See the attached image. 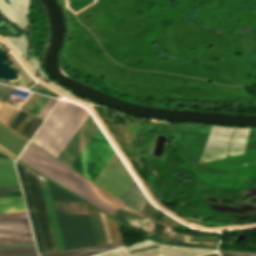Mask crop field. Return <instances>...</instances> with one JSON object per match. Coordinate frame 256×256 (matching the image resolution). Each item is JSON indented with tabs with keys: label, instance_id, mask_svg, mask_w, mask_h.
I'll return each instance as SVG.
<instances>
[{
	"label": "crop field",
	"instance_id": "28",
	"mask_svg": "<svg viewBox=\"0 0 256 256\" xmlns=\"http://www.w3.org/2000/svg\"><path fill=\"white\" fill-rule=\"evenodd\" d=\"M23 256H37L36 254H31V255H23Z\"/></svg>",
	"mask_w": 256,
	"mask_h": 256
},
{
	"label": "crop field",
	"instance_id": "7",
	"mask_svg": "<svg viewBox=\"0 0 256 256\" xmlns=\"http://www.w3.org/2000/svg\"><path fill=\"white\" fill-rule=\"evenodd\" d=\"M25 172H26L28 183H29L31 195L33 198L34 206L36 209L38 221L40 224L42 236L44 239L46 251L47 252L55 251L57 249H56L55 241H54L53 234L51 231L48 216L46 213V209H45V205L43 202L40 187L38 184L37 176H36V174L32 173L31 171H29L26 168H25Z\"/></svg>",
	"mask_w": 256,
	"mask_h": 256
},
{
	"label": "crop field",
	"instance_id": "24",
	"mask_svg": "<svg viewBox=\"0 0 256 256\" xmlns=\"http://www.w3.org/2000/svg\"><path fill=\"white\" fill-rule=\"evenodd\" d=\"M219 253L221 256H235V255L245 254L243 252H233V251H223V250H219ZM240 256H256V253H250V254H245Z\"/></svg>",
	"mask_w": 256,
	"mask_h": 256
},
{
	"label": "crop field",
	"instance_id": "17",
	"mask_svg": "<svg viewBox=\"0 0 256 256\" xmlns=\"http://www.w3.org/2000/svg\"><path fill=\"white\" fill-rule=\"evenodd\" d=\"M43 120L32 116L27 125L24 127L20 134L24 135L28 139H31L35 131L38 129Z\"/></svg>",
	"mask_w": 256,
	"mask_h": 256
},
{
	"label": "crop field",
	"instance_id": "12",
	"mask_svg": "<svg viewBox=\"0 0 256 256\" xmlns=\"http://www.w3.org/2000/svg\"><path fill=\"white\" fill-rule=\"evenodd\" d=\"M118 198L139 211L148 201L134 180Z\"/></svg>",
	"mask_w": 256,
	"mask_h": 256
},
{
	"label": "crop field",
	"instance_id": "16",
	"mask_svg": "<svg viewBox=\"0 0 256 256\" xmlns=\"http://www.w3.org/2000/svg\"><path fill=\"white\" fill-rule=\"evenodd\" d=\"M90 221H91V224H92L96 244L97 245L106 244L107 242H106V239H105V235H104V231H103L100 216L90 217Z\"/></svg>",
	"mask_w": 256,
	"mask_h": 256
},
{
	"label": "crop field",
	"instance_id": "15",
	"mask_svg": "<svg viewBox=\"0 0 256 256\" xmlns=\"http://www.w3.org/2000/svg\"><path fill=\"white\" fill-rule=\"evenodd\" d=\"M26 210L23 197L0 198V213L17 212Z\"/></svg>",
	"mask_w": 256,
	"mask_h": 256
},
{
	"label": "crop field",
	"instance_id": "2",
	"mask_svg": "<svg viewBox=\"0 0 256 256\" xmlns=\"http://www.w3.org/2000/svg\"><path fill=\"white\" fill-rule=\"evenodd\" d=\"M65 249L94 246L85 203L49 182Z\"/></svg>",
	"mask_w": 256,
	"mask_h": 256
},
{
	"label": "crop field",
	"instance_id": "27",
	"mask_svg": "<svg viewBox=\"0 0 256 256\" xmlns=\"http://www.w3.org/2000/svg\"><path fill=\"white\" fill-rule=\"evenodd\" d=\"M205 256H218V254H210V255H205Z\"/></svg>",
	"mask_w": 256,
	"mask_h": 256
},
{
	"label": "crop field",
	"instance_id": "3",
	"mask_svg": "<svg viewBox=\"0 0 256 256\" xmlns=\"http://www.w3.org/2000/svg\"><path fill=\"white\" fill-rule=\"evenodd\" d=\"M88 114L85 109L60 100L32 142L56 157Z\"/></svg>",
	"mask_w": 256,
	"mask_h": 256
},
{
	"label": "crop field",
	"instance_id": "18",
	"mask_svg": "<svg viewBox=\"0 0 256 256\" xmlns=\"http://www.w3.org/2000/svg\"><path fill=\"white\" fill-rule=\"evenodd\" d=\"M15 110H16V108L4 104V106L0 110V121L6 124V122L9 120V118L15 112ZM19 111L20 110L17 109V111L14 113V115L8 121V123H7L8 126L12 122V120L15 118V116L18 114Z\"/></svg>",
	"mask_w": 256,
	"mask_h": 256
},
{
	"label": "crop field",
	"instance_id": "5",
	"mask_svg": "<svg viewBox=\"0 0 256 256\" xmlns=\"http://www.w3.org/2000/svg\"><path fill=\"white\" fill-rule=\"evenodd\" d=\"M114 154L99 129L70 166L94 182Z\"/></svg>",
	"mask_w": 256,
	"mask_h": 256
},
{
	"label": "crop field",
	"instance_id": "19",
	"mask_svg": "<svg viewBox=\"0 0 256 256\" xmlns=\"http://www.w3.org/2000/svg\"><path fill=\"white\" fill-rule=\"evenodd\" d=\"M113 242L122 240L119 225L107 217Z\"/></svg>",
	"mask_w": 256,
	"mask_h": 256
},
{
	"label": "crop field",
	"instance_id": "23",
	"mask_svg": "<svg viewBox=\"0 0 256 256\" xmlns=\"http://www.w3.org/2000/svg\"><path fill=\"white\" fill-rule=\"evenodd\" d=\"M13 87L0 85V99L6 101L10 93L13 91ZM12 94V93H11Z\"/></svg>",
	"mask_w": 256,
	"mask_h": 256
},
{
	"label": "crop field",
	"instance_id": "20",
	"mask_svg": "<svg viewBox=\"0 0 256 256\" xmlns=\"http://www.w3.org/2000/svg\"><path fill=\"white\" fill-rule=\"evenodd\" d=\"M37 252L35 247L31 248H22V249H12V250H3L0 251L1 256H8V255H16V254H24V253H32Z\"/></svg>",
	"mask_w": 256,
	"mask_h": 256
},
{
	"label": "crop field",
	"instance_id": "11",
	"mask_svg": "<svg viewBox=\"0 0 256 256\" xmlns=\"http://www.w3.org/2000/svg\"><path fill=\"white\" fill-rule=\"evenodd\" d=\"M17 168H18V172H19L23 192H24V195H25V199H26L30 219H31V222H32V226H33V230H34L38 250L40 252H46L45 247H44V243H43V239H42V236H41L39 224H38V221H37L36 213H35V210H34L32 198H31V195H30L28 183H27V180H26L24 168H23V166H21L19 164H17Z\"/></svg>",
	"mask_w": 256,
	"mask_h": 256
},
{
	"label": "crop field",
	"instance_id": "26",
	"mask_svg": "<svg viewBox=\"0 0 256 256\" xmlns=\"http://www.w3.org/2000/svg\"><path fill=\"white\" fill-rule=\"evenodd\" d=\"M100 214H101V217H102V221H103V225H104L106 237H107V236H110V232H109V229H108L106 217H105V215H103L102 213H100ZM110 239H111V236H110ZM107 241H108V243L110 242L109 237L107 238ZM111 242H112V240H111Z\"/></svg>",
	"mask_w": 256,
	"mask_h": 256
},
{
	"label": "crop field",
	"instance_id": "8",
	"mask_svg": "<svg viewBox=\"0 0 256 256\" xmlns=\"http://www.w3.org/2000/svg\"><path fill=\"white\" fill-rule=\"evenodd\" d=\"M131 180L132 177L115 155L94 183L118 197Z\"/></svg>",
	"mask_w": 256,
	"mask_h": 256
},
{
	"label": "crop field",
	"instance_id": "14",
	"mask_svg": "<svg viewBox=\"0 0 256 256\" xmlns=\"http://www.w3.org/2000/svg\"><path fill=\"white\" fill-rule=\"evenodd\" d=\"M18 185L12 161L0 158V187Z\"/></svg>",
	"mask_w": 256,
	"mask_h": 256
},
{
	"label": "crop field",
	"instance_id": "1",
	"mask_svg": "<svg viewBox=\"0 0 256 256\" xmlns=\"http://www.w3.org/2000/svg\"><path fill=\"white\" fill-rule=\"evenodd\" d=\"M28 145L32 146L33 148L37 149L38 151L42 152L43 154L47 155L48 157L52 158L63 166L67 167L66 165L56 160L34 144L29 143ZM28 145L18 160L22 161L23 163L27 164L28 166L52 179L63 187L67 188L68 190L74 192L75 194L88 200L94 205L107 211L109 214L116 210L118 207H120L122 204H124L112 195L105 192L104 190L80 177L81 175H77L78 173L75 174V171V173L72 172L73 170L69 167L67 168L72 171L63 167L62 165L58 164L57 162L53 161L52 159L48 158L47 156L43 155L42 153L38 152L37 150L33 149Z\"/></svg>",
	"mask_w": 256,
	"mask_h": 256
},
{
	"label": "crop field",
	"instance_id": "6",
	"mask_svg": "<svg viewBox=\"0 0 256 256\" xmlns=\"http://www.w3.org/2000/svg\"><path fill=\"white\" fill-rule=\"evenodd\" d=\"M34 242L27 213L0 215V245Z\"/></svg>",
	"mask_w": 256,
	"mask_h": 256
},
{
	"label": "crop field",
	"instance_id": "4",
	"mask_svg": "<svg viewBox=\"0 0 256 256\" xmlns=\"http://www.w3.org/2000/svg\"><path fill=\"white\" fill-rule=\"evenodd\" d=\"M115 218L128 224L129 226L139 230L143 234L149 237L151 233L165 239L160 243L167 244H179V245H192V246H204V247H214L217 248L218 243L206 241L202 239H197L189 237L187 235L176 234L171 231V229L159 222L149 220L128 207L127 205H122L112 214Z\"/></svg>",
	"mask_w": 256,
	"mask_h": 256
},
{
	"label": "crop field",
	"instance_id": "13",
	"mask_svg": "<svg viewBox=\"0 0 256 256\" xmlns=\"http://www.w3.org/2000/svg\"><path fill=\"white\" fill-rule=\"evenodd\" d=\"M123 245H124L123 242H119V243H113V244L84 248V249L45 253V254H40V256H86V255L94 254L97 252H101L104 250L112 249V248L123 246Z\"/></svg>",
	"mask_w": 256,
	"mask_h": 256
},
{
	"label": "crop field",
	"instance_id": "9",
	"mask_svg": "<svg viewBox=\"0 0 256 256\" xmlns=\"http://www.w3.org/2000/svg\"><path fill=\"white\" fill-rule=\"evenodd\" d=\"M98 128L89 114L57 158L70 165Z\"/></svg>",
	"mask_w": 256,
	"mask_h": 256
},
{
	"label": "crop field",
	"instance_id": "10",
	"mask_svg": "<svg viewBox=\"0 0 256 256\" xmlns=\"http://www.w3.org/2000/svg\"><path fill=\"white\" fill-rule=\"evenodd\" d=\"M38 180H39V184H40L41 191H42V194H43L46 209H47V212H48V216H49V220H50V223H51L54 238H55V241H56L57 249L58 250H65L64 245H63V241H62V237H61V233H60V229H59V225H58V221H57V217H56V214H55V210H54V206H53V202H52L48 182H47V180H45V179H43L39 176H38Z\"/></svg>",
	"mask_w": 256,
	"mask_h": 256
},
{
	"label": "crop field",
	"instance_id": "25",
	"mask_svg": "<svg viewBox=\"0 0 256 256\" xmlns=\"http://www.w3.org/2000/svg\"><path fill=\"white\" fill-rule=\"evenodd\" d=\"M21 191L19 186L16 187H8V188H0V197L9 196L7 192H15Z\"/></svg>",
	"mask_w": 256,
	"mask_h": 256
},
{
	"label": "crop field",
	"instance_id": "22",
	"mask_svg": "<svg viewBox=\"0 0 256 256\" xmlns=\"http://www.w3.org/2000/svg\"><path fill=\"white\" fill-rule=\"evenodd\" d=\"M47 100H48V97H45V96L41 95V97L38 99L36 104L30 110V113H33V114L37 115V113L40 111V109L42 108V106L45 104V102Z\"/></svg>",
	"mask_w": 256,
	"mask_h": 256
},
{
	"label": "crop field",
	"instance_id": "21",
	"mask_svg": "<svg viewBox=\"0 0 256 256\" xmlns=\"http://www.w3.org/2000/svg\"><path fill=\"white\" fill-rule=\"evenodd\" d=\"M57 100L49 98V100L46 102L44 107L41 109V111L38 113V116L42 118H46L54 104L56 103Z\"/></svg>",
	"mask_w": 256,
	"mask_h": 256
}]
</instances>
